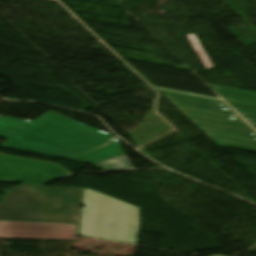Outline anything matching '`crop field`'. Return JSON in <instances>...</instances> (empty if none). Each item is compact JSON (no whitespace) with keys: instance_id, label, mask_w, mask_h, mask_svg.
Masks as SVG:
<instances>
[{"instance_id":"412701ff","label":"crop field","mask_w":256,"mask_h":256,"mask_svg":"<svg viewBox=\"0 0 256 256\" xmlns=\"http://www.w3.org/2000/svg\"><path fill=\"white\" fill-rule=\"evenodd\" d=\"M69 175L57 165L0 155V178L43 186Z\"/></svg>"},{"instance_id":"34b2d1b8","label":"crop field","mask_w":256,"mask_h":256,"mask_svg":"<svg viewBox=\"0 0 256 256\" xmlns=\"http://www.w3.org/2000/svg\"><path fill=\"white\" fill-rule=\"evenodd\" d=\"M158 91L210 140L256 148V133L223 101Z\"/></svg>"},{"instance_id":"8a807250","label":"crop field","mask_w":256,"mask_h":256,"mask_svg":"<svg viewBox=\"0 0 256 256\" xmlns=\"http://www.w3.org/2000/svg\"><path fill=\"white\" fill-rule=\"evenodd\" d=\"M0 137V147L90 164L124 155L117 138L51 112L34 122L0 116Z\"/></svg>"},{"instance_id":"dd49c442","label":"crop field","mask_w":256,"mask_h":256,"mask_svg":"<svg viewBox=\"0 0 256 256\" xmlns=\"http://www.w3.org/2000/svg\"><path fill=\"white\" fill-rule=\"evenodd\" d=\"M225 101L256 106V93L209 85ZM239 112V111H238ZM255 129L256 115L239 112Z\"/></svg>"},{"instance_id":"f4fd0767","label":"crop field","mask_w":256,"mask_h":256,"mask_svg":"<svg viewBox=\"0 0 256 256\" xmlns=\"http://www.w3.org/2000/svg\"><path fill=\"white\" fill-rule=\"evenodd\" d=\"M76 225L0 221V238L74 240Z\"/></svg>"},{"instance_id":"ac0d7876","label":"crop field","mask_w":256,"mask_h":256,"mask_svg":"<svg viewBox=\"0 0 256 256\" xmlns=\"http://www.w3.org/2000/svg\"><path fill=\"white\" fill-rule=\"evenodd\" d=\"M83 189L21 186L0 200V220L77 224Z\"/></svg>"},{"instance_id":"d8731c3e","label":"crop field","mask_w":256,"mask_h":256,"mask_svg":"<svg viewBox=\"0 0 256 256\" xmlns=\"http://www.w3.org/2000/svg\"><path fill=\"white\" fill-rule=\"evenodd\" d=\"M214 256H222V255H214Z\"/></svg>"},{"instance_id":"e52e79f7","label":"crop field","mask_w":256,"mask_h":256,"mask_svg":"<svg viewBox=\"0 0 256 256\" xmlns=\"http://www.w3.org/2000/svg\"><path fill=\"white\" fill-rule=\"evenodd\" d=\"M94 166L104 171L131 169L125 156L110 159Z\"/></svg>"}]
</instances>
